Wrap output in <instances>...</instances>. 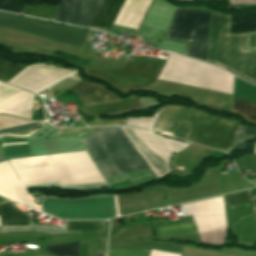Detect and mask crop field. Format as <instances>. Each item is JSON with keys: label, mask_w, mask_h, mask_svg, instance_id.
Segmentation results:
<instances>
[{"label": "crop field", "mask_w": 256, "mask_h": 256, "mask_svg": "<svg viewBox=\"0 0 256 256\" xmlns=\"http://www.w3.org/2000/svg\"><path fill=\"white\" fill-rule=\"evenodd\" d=\"M179 108L165 107L156 127L154 125L155 129L154 127L153 129L158 132L161 129L168 131ZM237 126L238 124L234 121L212 117L197 109L181 107L169 131L173 132L172 136L225 151ZM255 137L254 129L238 126L227 150L242 149L245 141Z\"/></svg>", "instance_id": "8a807250"}, {"label": "crop field", "mask_w": 256, "mask_h": 256, "mask_svg": "<svg viewBox=\"0 0 256 256\" xmlns=\"http://www.w3.org/2000/svg\"><path fill=\"white\" fill-rule=\"evenodd\" d=\"M9 162L22 185L104 182L86 151L12 159Z\"/></svg>", "instance_id": "ac0d7876"}, {"label": "crop field", "mask_w": 256, "mask_h": 256, "mask_svg": "<svg viewBox=\"0 0 256 256\" xmlns=\"http://www.w3.org/2000/svg\"><path fill=\"white\" fill-rule=\"evenodd\" d=\"M93 137L81 139L86 149L127 139L119 127L94 132ZM105 179L151 168L129 139L88 149Z\"/></svg>", "instance_id": "34b2d1b8"}, {"label": "crop field", "mask_w": 256, "mask_h": 256, "mask_svg": "<svg viewBox=\"0 0 256 256\" xmlns=\"http://www.w3.org/2000/svg\"><path fill=\"white\" fill-rule=\"evenodd\" d=\"M229 20L212 13L207 60L256 82V51H243L244 34H228Z\"/></svg>", "instance_id": "412701ff"}, {"label": "crop field", "mask_w": 256, "mask_h": 256, "mask_svg": "<svg viewBox=\"0 0 256 256\" xmlns=\"http://www.w3.org/2000/svg\"><path fill=\"white\" fill-rule=\"evenodd\" d=\"M0 27L85 47L88 30L0 13Z\"/></svg>", "instance_id": "f4fd0767"}, {"label": "crop field", "mask_w": 256, "mask_h": 256, "mask_svg": "<svg viewBox=\"0 0 256 256\" xmlns=\"http://www.w3.org/2000/svg\"><path fill=\"white\" fill-rule=\"evenodd\" d=\"M209 12L177 8L166 38L191 41L189 56L205 60Z\"/></svg>", "instance_id": "dd49c442"}, {"label": "crop field", "mask_w": 256, "mask_h": 256, "mask_svg": "<svg viewBox=\"0 0 256 256\" xmlns=\"http://www.w3.org/2000/svg\"><path fill=\"white\" fill-rule=\"evenodd\" d=\"M121 128L159 176L170 172L167 169L170 154L172 152H179L188 146V144L154 135L141 129Z\"/></svg>", "instance_id": "e52e79f7"}, {"label": "crop field", "mask_w": 256, "mask_h": 256, "mask_svg": "<svg viewBox=\"0 0 256 256\" xmlns=\"http://www.w3.org/2000/svg\"><path fill=\"white\" fill-rule=\"evenodd\" d=\"M41 210L61 219H106L117 216L114 198L76 201L44 199Z\"/></svg>", "instance_id": "d8731c3e"}, {"label": "crop field", "mask_w": 256, "mask_h": 256, "mask_svg": "<svg viewBox=\"0 0 256 256\" xmlns=\"http://www.w3.org/2000/svg\"><path fill=\"white\" fill-rule=\"evenodd\" d=\"M160 66L129 62L120 68L105 71H87L108 82L125 89H139L156 80Z\"/></svg>", "instance_id": "5a996713"}, {"label": "crop field", "mask_w": 256, "mask_h": 256, "mask_svg": "<svg viewBox=\"0 0 256 256\" xmlns=\"http://www.w3.org/2000/svg\"><path fill=\"white\" fill-rule=\"evenodd\" d=\"M72 72L47 65H30L8 83L37 92Z\"/></svg>", "instance_id": "3316defc"}, {"label": "crop field", "mask_w": 256, "mask_h": 256, "mask_svg": "<svg viewBox=\"0 0 256 256\" xmlns=\"http://www.w3.org/2000/svg\"><path fill=\"white\" fill-rule=\"evenodd\" d=\"M102 0H61L53 20L89 27Z\"/></svg>", "instance_id": "28ad6ade"}, {"label": "crop field", "mask_w": 256, "mask_h": 256, "mask_svg": "<svg viewBox=\"0 0 256 256\" xmlns=\"http://www.w3.org/2000/svg\"><path fill=\"white\" fill-rule=\"evenodd\" d=\"M33 94L0 84V113L29 119Z\"/></svg>", "instance_id": "d1516ede"}, {"label": "crop field", "mask_w": 256, "mask_h": 256, "mask_svg": "<svg viewBox=\"0 0 256 256\" xmlns=\"http://www.w3.org/2000/svg\"><path fill=\"white\" fill-rule=\"evenodd\" d=\"M0 195L33 207L7 160L0 162Z\"/></svg>", "instance_id": "22f410ed"}, {"label": "crop field", "mask_w": 256, "mask_h": 256, "mask_svg": "<svg viewBox=\"0 0 256 256\" xmlns=\"http://www.w3.org/2000/svg\"><path fill=\"white\" fill-rule=\"evenodd\" d=\"M67 90L75 93L83 102L84 106L119 100L118 97L113 95L114 93L112 94L103 87L82 80Z\"/></svg>", "instance_id": "cbeb9de0"}, {"label": "crop field", "mask_w": 256, "mask_h": 256, "mask_svg": "<svg viewBox=\"0 0 256 256\" xmlns=\"http://www.w3.org/2000/svg\"><path fill=\"white\" fill-rule=\"evenodd\" d=\"M151 0H125L114 24L137 29Z\"/></svg>", "instance_id": "5142ce71"}, {"label": "crop field", "mask_w": 256, "mask_h": 256, "mask_svg": "<svg viewBox=\"0 0 256 256\" xmlns=\"http://www.w3.org/2000/svg\"><path fill=\"white\" fill-rule=\"evenodd\" d=\"M140 107L141 105L137 97H130L126 100L119 101V102L86 107V108H83V110L88 115L99 117L101 115L124 112V111L132 110Z\"/></svg>", "instance_id": "d9b57169"}, {"label": "crop field", "mask_w": 256, "mask_h": 256, "mask_svg": "<svg viewBox=\"0 0 256 256\" xmlns=\"http://www.w3.org/2000/svg\"><path fill=\"white\" fill-rule=\"evenodd\" d=\"M124 0H104L91 27L109 31Z\"/></svg>", "instance_id": "733c2abd"}, {"label": "crop field", "mask_w": 256, "mask_h": 256, "mask_svg": "<svg viewBox=\"0 0 256 256\" xmlns=\"http://www.w3.org/2000/svg\"><path fill=\"white\" fill-rule=\"evenodd\" d=\"M2 225H29V215L13 203L0 205Z\"/></svg>", "instance_id": "4a817a6b"}, {"label": "crop field", "mask_w": 256, "mask_h": 256, "mask_svg": "<svg viewBox=\"0 0 256 256\" xmlns=\"http://www.w3.org/2000/svg\"><path fill=\"white\" fill-rule=\"evenodd\" d=\"M32 123V121H22L15 118L7 117V116H0V130L8 129L24 124ZM37 126H39V123H32L8 130L0 131V135L3 134H14V135H26L33 129H35Z\"/></svg>", "instance_id": "bc2a9ffb"}, {"label": "crop field", "mask_w": 256, "mask_h": 256, "mask_svg": "<svg viewBox=\"0 0 256 256\" xmlns=\"http://www.w3.org/2000/svg\"><path fill=\"white\" fill-rule=\"evenodd\" d=\"M156 236H170L197 232L192 220L153 227Z\"/></svg>", "instance_id": "214f88e0"}, {"label": "crop field", "mask_w": 256, "mask_h": 256, "mask_svg": "<svg viewBox=\"0 0 256 256\" xmlns=\"http://www.w3.org/2000/svg\"><path fill=\"white\" fill-rule=\"evenodd\" d=\"M106 239H95L79 242L80 256H94V253L104 254Z\"/></svg>", "instance_id": "92a150f3"}, {"label": "crop field", "mask_w": 256, "mask_h": 256, "mask_svg": "<svg viewBox=\"0 0 256 256\" xmlns=\"http://www.w3.org/2000/svg\"><path fill=\"white\" fill-rule=\"evenodd\" d=\"M104 227L105 221H67V231H99Z\"/></svg>", "instance_id": "dafd665d"}, {"label": "crop field", "mask_w": 256, "mask_h": 256, "mask_svg": "<svg viewBox=\"0 0 256 256\" xmlns=\"http://www.w3.org/2000/svg\"><path fill=\"white\" fill-rule=\"evenodd\" d=\"M55 8L54 5L25 6L23 14L51 19Z\"/></svg>", "instance_id": "00972430"}, {"label": "crop field", "mask_w": 256, "mask_h": 256, "mask_svg": "<svg viewBox=\"0 0 256 256\" xmlns=\"http://www.w3.org/2000/svg\"><path fill=\"white\" fill-rule=\"evenodd\" d=\"M47 250L58 256H79L78 243L49 246Z\"/></svg>", "instance_id": "a9b5d70f"}, {"label": "crop field", "mask_w": 256, "mask_h": 256, "mask_svg": "<svg viewBox=\"0 0 256 256\" xmlns=\"http://www.w3.org/2000/svg\"><path fill=\"white\" fill-rule=\"evenodd\" d=\"M234 110L243 112L248 119L256 122V103L235 99Z\"/></svg>", "instance_id": "4177f3b9"}, {"label": "crop field", "mask_w": 256, "mask_h": 256, "mask_svg": "<svg viewBox=\"0 0 256 256\" xmlns=\"http://www.w3.org/2000/svg\"><path fill=\"white\" fill-rule=\"evenodd\" d=\"M25 67L26 66L12 65V64L0 61V80L7 82L9 79L14 77L17 73H19Z\"/></svg>", "instance_id": "730fd06b"}, {"label": "crop field", "mask_w": 256, "mask_h": 256, "mask_svg": "<svg viewBox=\"0 0 256 256\" xmlns=\"http://www.w3.org/2000/svg\"><path fill=\"white\" fill-rule=\"evenodd\" d=\"M107 256H149V250L108 248Z\"/></svg>", "instance_id": "eef30255"}, {"label": "crop field", "mask_w": 256, "mask_h": 256, "mask_svg": "<svg viewBox=\"0 0 256 256\" xmlns=\"http://www.w3.org/2000/svg\"><path fill=\"white\" fill-rule=\"evenodd\" d=\"M224 198H225L226 205L249 201L251 200V191L248 190V191H243L238 193L226 194L224 195Z\"/></svg>", "instance_id": "ae1a2a85"}, {"label": "crop field", "mask_w": 256, "mask_h": 256, "mask_svg": "<svg viewBox=\"0 0 256 256\" xmlns=\"http://www.w3.org/2000/svg\"><path fill=\"white\" fill-rule=\"evenodd\" d=\"M155 118L152 117H128L126 125H134L144 128H151Z\"/></svg>", "instance_id": "d3111659"}, {"label": "crop field", "mask_w": 256, "mask_h": 256, "mask_svg": "<svg viewBox=\"0 0 256 256\" xmlns=\"http://www.w3.org/2000/svg\"><path fill=\"white\" fill-rule=\"evenodd\" d=\"M23 8V4L12 0H0V10H6L11 12L20 13Z\"/></svg>", "instance_id": "750c4746"}, {"label": "crop field", "mask_w": 256, "mask_h": 256, "mask_svg": "<svg viewBox=\"0 0 256 256\" xmlns=\"http://www.w3.org/2000/svg\"><path fill=\"white\" fill-rule=\"evenodd\" d=\"M230 3L256 4V1H253V0H230Z\"/></svg>", "instance_id": "bd1437ed"}, {"label": "crop field", "mask_w": 256, "mask_h": 256, "mask_svg": "<svg viewBox=\"0 0 256 256\" xmlns=\"http://www.w3.org/2000/svg\"><path fill=\"white\" fill-rule=\"evenodd\" d=\"M8 201L9 200H6V199L0 197V203H5V202H8Z\"/></svg>", "instance_id": "1d83c4d3"}, {"label": "crop field", "mask_w": 256, "mask_h": 256, "mask_svg": "<svg viewBox=\"0 0 256 256\" xmlns=\"http://www.w3.org/2000/svg\"><path fill=\"white\" fill-rule=\"evenodd\" d=\"M22 145H27V144H21V145H9V146H3V147H10V146H22Z\"/></svg>", "instance_id": "120bbe31"}]
</instances>
